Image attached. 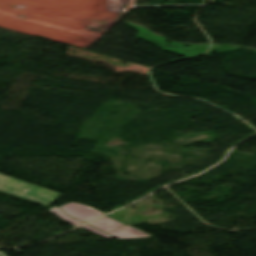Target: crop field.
<instances>
[{"label": "crop field", "mask_w": 256, "mask_h": 256, "mask_svg": "<svg viewBox=\"0 0 256 256\" xmlns=\"http://www.w3.org/2000/svg\"><path fill=\"white\" fill-rule=\"evenodd\" d=\"M0 192L47 206L61 194L48 191L31 184L0 174Z\"/></svg>", "instance_id": "obj_1"}, {"label": "crop field", "mask_w": 256, "mask_h": 256, "mask_svg": "<svg viewBox=\"0 0 256 256\" xmlns=\"http://www.w3.org/2000/svg\"><path fill=\"white\" fill-rule=\"evenodd\" d=\"M62 210L67 212L69 215H71L74 218H78L84 222H88L92 219H95L97 217H100L104 215L103 213L87 207L82 204H77V203H68L60 207Z\"/></svg>", "instance_id": "obj_2"}, {"label": "crop field", "mask_w": 256, "mask_h": 256, "mask_svg": "<svg viewBox=\"0 0 256 256\" xmlns=\"http://www.w3.org/2000/svg\"><path fill=\"white\" fill-rule=\"evenodd\" d=\"M90 225L108 233L124 224L119 221H116L112 218H109L107 216H104V217L90 223Z\"/></svg>", "instance_id": "obj_3"}, {"label": "crop field", "mask_w": 256, "mask_h": 256, "mask_svg": "<svg viewBox=\"0 0 256 256\" xmlns=\"http://www.w3.org/2000/svg\"><path fill=\"white\" fill-rule=\"evenodd\" d=\"M117 238H127V237H140V236H147V234L136 230L130 226H123L119 229H116L110 233H108Z\"/></svg>", "instance_id": "obj_4"}, {"label": "crop field", "mask_w": 256, "mask_h": 256, "mask_svg": "<svg viewBox=\"0 0 256 256\" xmlns=\"http://www.w3.org/2000/svg\"><path fill=\"white\" fill-rule=\"evenodd\" d=\"M52 213H54L57 217L63 219L64 221L72 224L73 226H78L84 222L78 221L74 218H72L71 216H69L68 214H66L65 212H63L61 209H59L58 207H55L53 209L50 210Z\"/></svg>", "instance_id": "obj_5"}, {"label": "crop field", "mask_w": 256, "mask_h": 256, "mask_svg": "<svg viewBox=\"0 0 256 256\" xmlns=\"http://www.w3.org/2000/svg\"><path fill=\"white\" fill-rule=\"evenodd\" d=\"M82 227H84V228H86V229H88V230H90V231H92V232H94V233H96V234H98V235H101V236H103V237L113 238V237L107 235L106 233H104V232H102V231H100V230H98V229H96V228H94V227H92V226H90V225H88V224H87V225H84V226H82Z\"/></svg>", "instance_id": "obj_6"}, {"label": "crop field", "mask_w": 256, "mask_h": 256, "mask_svg": "<svg viewBox=\"0 0 256 256\" xmlns=\"http://www.w3.org/2000/svg\"><path fill=\"white\" fill-rule=\"evenodd\" d=\"M0 256H6L3 252H0Z\"/></svg>", "instance_id": "obj_7"}]
</instances>
